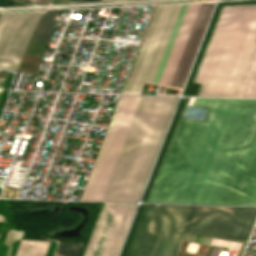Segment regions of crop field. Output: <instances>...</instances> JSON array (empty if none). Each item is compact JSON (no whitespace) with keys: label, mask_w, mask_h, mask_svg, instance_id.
<instances>
[{"label":"crop field","mask_w":256,"mask_h":256,"mask_svg":"<svg viewBox=\"0 0 256 256\" xmlns=\"http://www.w3.org/2000/svg\"><path fill=\"white\" fill-rule=\"evenodd\" d=\"M193 106L205 119H181L147 202L256 206V100Z\"/></svg>","instance_id":"obj_1"},{"label":"crop field","mask_w":256,"mask_h":256,"mask_svg":"<svg viewBox=\"0 0 256 256\" xmlns=\"http://www.w3.org/2000/svg\"><path fill=\"white\" fill-rule=\"evenodd\" d=\"M255 213L256 208L146 205L127 256H175L185 230L245 239Z\"/></svg>","instance_id":"obj_2"},{"label":"crop field","mask_w":256,"mask_h":256,"mask_svg":"<svg viewBox=\"0 0 256 256\" xmlns=\"http://www.w3.org/2000/svg\"><path fill=\"white\" fill-rule=\"evenodd\" d=\"M256 42V5L222 6L192 82L198 96L234 97Z\"/></svg>","instance_id":"obj_3"},{"label":"crop field","mask_w":256,"mask_h":256,"mask_svg":"<svg viewBox=\"0 0 256 256\" xmlns=\"http://www.w3.org/2000/svg\"><path fill=\"white\" fill-rule=\"evenodd\" d=\"M176 100L141 96L101 201L138 202Z\"/></svg>","instance_id":"obj_4"},{"label":"crop field","mask_w":256,"mask_h":256,"mask_svg":"<svg viewBox=\"0 0 256 256\" xmlns=\"http://www.w3.org/2000/svg\"><path fill=\"white\" fill-rule=\"evenodd\" d=\"M213 5H176L146 83L183 85Z\"/></svg>","instance_id":"obj_5"},{"label":"crop field","mask_w":256,"mask_h":256,"mask_svg":"<svg viewBox=\"0 0 256 256\" xmlns=\"http://www.w3.org/2000/svg\"><path fill=\"white\" fill-rule=\"evenodd\" d=\"M138 99L120 96L80 200H100Z\"/></svg>","instance_id":"obj_6"},{"label":"crop field","mask_w":256,"mask_h":256,"mask_svg":"<svg viewBox=\"0 0 256 256\" xmlns=\"http://www.w3.org/2000/svg\"><path fill=\"white\" fill-rule=\"evenodd\" d=\"M175 5L154 6L121 93L141 94Z\"/></svg>","instance_id":"obj_7"},{"label":"crop field","mask_w":256,"mask_h":256,"mask_svg":"<svg viewBox=\"0 0 256 256\" xmlns=\"http://www.w3.org/2000/svg\"><path fill=\"white\" fill-rule=\"evenodd\" d=\"M136 207L104 204L83 256H117Z\"/></svg>","instance_id":"obj_8"},{"label":"crop field","mask_w":256,"mask_h":256,"mask_svg":"<svg viewBox=\"0 0 256 256\" xmlns=\"http://www.w3.org/2000/svg\"><path fill=\"white\" fill-rule=\"evenodd\" d=\"M42 13L23 14L18 24L1 68L16 71L23 52L29 42L34 27Z\"/></svg>","instance_id":"obj_9"},{"label":"crop field","mask_w":256,"mask_h":256,"mask_svg":"<svg viewBox=\"0 0 256 256\" xmlns=\"http://www.w3.org/2000/svg\"><path fill=\"white\" fill-rule=\"evenodd\" d=\"M22 14L0 16V64Z\"/></svg>","instance_id":"obj_10"},{"label":"crop field","mask_w":256,"mask_h":256,"mask_svg":"<svg viewBox=\"0 0 256 256\" xmlns=\"http://www.w3.org/2000/svg\"><path fill=\"white\" fill-rule=\"evenodd\" d=\"M61 9L47 10L39 21L31 39L48 42Z\"/></svg>","instance_id":"obj_11"},{"label":"crop field","mask_w":256,"mask_h":256,"mask_svg":"<svg viewBox=\"0 0 256 256\" xmlns=\"http://www.w3.org/2000/svg\"><path fill=\"white\" fill-rule=\"evenodd\" d=\"M256 62V45L254 47L253 53L251 55V58L249 60V63L247 65L246 71L244 73V76L242 78V81L240 83L239 89L237 91V94L235 97H242L245 91V88L247 86L248 80L250 78V75L252 73L253 67ZM243 97H256V65L254 67L253 73L251 75V78L249 80L248 86L246 88L245 94Z\"/></svg>","instance_id":"obj_12"},{"label":"crop field","mask_w":256,"mask_h":256,"mask_svg":"<svg viewBox=\"0 0 256 256\" xmlns=\"http://www.w3.org/2000/svg\"><path fill=\"white\" fill-rule=\"evenodd\" d=\"M50 242L22 240L16 256H45ZM32 245V247H30Z\"/></svg>","instance_id":"obj_13"},{"label":"crop field","mask_w":256,"mask_h":256,"mask_svg":"<svg viewBox=\"0 0 256 256\" xmlns=\"http://www.w3.org/2000/svg\"><path fill=\"white\" fill-rule=\"evenodd\" d=\"M84 243L60 242L55 256H79Z\"/></svg>","instance_id":"obj_14"},{"label":"crop field","mask_w":256,"mask_h":256,"mask_svg":"<svg viewBox=\"0 0 256 256\" xmlns=\"http://www.w3.org/2000/svg\"><path fill=\"white\" fill-rule=\"evenodd\" d=\"M14 2L12 0H0V7L3 6H12Z\"/></svg>","instance_id":"obj_15"},{"label":"crop field","mask_w":256,"mask_h":256,"mask_svg":"<svg viewBox=\"0 0 256 256\" xmlns=\"http://www.w3.org/2000/svg\"><path fill=\"white\" fill-rule=\"evenodd\" d=\"M28 1L39 2V3H47V4H49V2H50L51 0H28Z\"/></svg>","instance_id":"obj_16"},{"label":"crop field","mask_w":256,"mask_h":256,"mask_svg":"<svg viewBox=\"0 0 256 256\" xmlns=\"http://www.w3.org/2000/svg\"><path fill=\"white\" fill-rule=\"evenodd\" d=\"M91 1H100V0H88L87 2H91Z\"/></svg>","instance_id":"obj_17"},{"label":"crop field","mask_w":256,"mask_h":256,"mask_svg":"<svg viewBox=\"0 0 256 256\" xmlns=\"http://www.w3.org/2000/svg\"><path fill=\"white\" fill-rule=\"evenodd\" d=\"M70 1H79V0H70Z\"/></svg>","instance_id":"obj_18"},{"label":"crop field","mask_w":256,"mask_h":256,"mask_svg":"<svg viewBox=\"0 0 256 256\" xmlns=\"http://www.w3.org/2000/svg\"><path fill=\"white\" fill-rule=\"evenodd\" d=\"M101 1H109V0H101Z\"/></svg>","instance_id":"obj_19"}]
</instances>
